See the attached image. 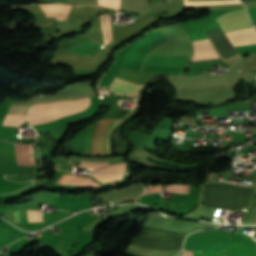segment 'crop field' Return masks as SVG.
<instances>
[{"mask_svg":"<svg viewBox=\"0 0 256 256\" xmlns=\"http://www.w3.org/2000/svg\"><path fill=\"white\" fill-rule=\"evenodd\" d=\"M171 40L159 46H191V41L182 24L163 28ZM193 54L192 47H156L148 55H184ZM192 55L184 56H147L145 59L143 71L148 74H169L181 75L187 67ZM138 73L132 69L121 67L116 78L140 83L146 85L149 81L158 75H148ZM114 79L109 89L114 92L127 95H136L144 85ZM137 96H133L136 98Z\"/></svg>","mask_w":256,"mask_h":256,"instance_id":"8a807250","label":"crop field"},{"mask_svg":"<svg viewBox=\"0 0 256 256\" xmlns=\"http://www.w3.org/2000/svg\"><path fill=\"white\" fill-rule=\"evenodd\" d=\"M78 105H90L89 97L74 100V101H62V102L37 104V105L32 106L30 108V110L56 108V107H67V106H78ZM87 107H89V106L35 110V111H29V116L80 112V111L86 109ZM72 114H75V113L29 117V123L31 125L45 123V122L56 120V119H59V118L65 117V116L72 115Z\"/></svg>","mask_w":256,"mask_h":256,"instance_id":"ac0d7876","label":"crop field"},{"mask_svg":"<svg viewBox=\"0 0 256 256\" xmlns=\"http://www.w3.org/2000/svg\"><path fill=\"white\" fill-rule=\"evenodd\" d=\"M121 120L117 119H106L100 120L99 124L97 123L88 127L86 138H85V150L84 155L91 156V149H92V139H93V149H92V156H108L109 155V147H108V135L112 127L118 124Z\"/></svg>","mask_w":256,"mask_h":256,"instance_id":"34b2d1b8","label":"crop field"},{"mask_svg":"<svg viewBox=\"0 0 256 256\" xmlns=\"http://www.w3.org/2000/svg\"><path fill=\"white\" fill-rule=\"evenodd\" d=\"M215 20L224 33L253 27L245 10L227 12Z\"/></svg>","mask_w":256,"mask_h":256,"instance_id":"412701ff","label":"crop field"},{"mask_svg":"<svg viewBox=\"0 0 256 256\" xmlns=\"http://www.w3.org/2000/svg\"><path fill=\"white\" fill-rule=\"evenodd\" d=\"M177 89H195L201 87H212L227 84L223 75L195 77V78H169Z\"/></svg>","mask_w":256,"mask_h":256,"instance_id":"f4fd0767","label":"crop field"},{"mask_svg":"<svg viewBox=\"0 0 256 256\" xmlns=\"http://www.w3.org/2000/svg\"><path fill=\"white\" fill-rule=\"evenodd\" d=\"M192 44L194 55L191 61L219 58L209 39L194 41Z\"/></svg>","mask_w":256,"mask_h":256,"instance_id":"dd49c442","label":"crop field"},{"mask_svg":"<svg viewBox=\"0 0 256 256\" xmlns=\"http://www.w3.org/2000/svg\"><path fill=\"white\" fill-rule=\"evenodd\" d=\"M14 150L16 154L29 155V150L33 151V145L14 143ZM30 155H34V152L30 151ZM16 157L18 165H35L34 156L16 155Z\"/></svg>","mask_w":256,"mask_h":256,"instance_id":"e52e79f7","label":"crop field"},{"mask_svg":"<svg viewBox=\"0 0 256 256\" xmlns=\"http://www.w3.org/2000/svg\"><path fill=\"white\" fill-rule=\"evenodd\" d=\"M102 47L103 45L93 42L91 40H88L78 45L77 47L71 49L67 53H75V54L83 55L85 57H92Z\"/></svg>","mask_w":256,"mask_h":256,"instance_id":"d8731c3e","label":"crop field"},{"mask_svg":"<svg viewBox=\"0 0 256 256\" xmlns=\"http://www.w3.org/2000/svg\"><path fill=\"white\" fill-rule=\"evenodd\" d=\"M120 9L142 13L148 10L147 0H121Z\"/></svg>","mask_w":256,"mask_h":256,"instance_id":"5a996713","label":"crop field"},{"mask_svg":"<svg viewBox=\"0 0 256 256\" xmlns=\"http://www.w3.org/2000/svg\"><path fill=\"white\" fill-rule=\"evenodd\" d=\"M75 241L76 239L65 232L53 249L62 256H67Z\"/></svg>","mask_w":256,"mask_h":256,"instance_id":"3316defc","label":"crop field"},{"mask_svg":"<svg viewBox=\"0 0 256 256\" xmlns=\"http://www.w3.org/2000/svg\"><path fill=\"white\" fill-rule=\"evenodd\" d=\"M58 184H72V185H91V186H100L97 183L93 182L89 178L76 177L64 174L59 180Z\"/></svg>","mask_w":256,"mask_h":256,"instance_id":"28ad6ade","label":"crop field"},{"mask_svg":"<svg viewBox=\"0 0 256 256\" xmlns=\"http://www.w3.org/2000/svg\"><path fill=\"white\" fill-rule=\"evenodd\" d=\"M27 120V115H6L3 125L20 126Z\"/></svg>","mask_w":256,"mask_h":256,"instance_id":"d1516ede","label":"crop field"},{"mask_svg":"<svg viewBox=\"0 0 256 256\" xmlns=\"http://www.w3.org/2000/svg\"><path fill=\"white\" fill-rule=\"evenodd\" d=\"M96 179L100 180L101 182H109V181H116L122 179V174H112V175H92Z\"/></svg>","mask_w":256,"mask_h":256,"instance_id":"22f410ed","label":"crop field"},{"mask_svg":"<svg viewBox=\"0 0 256 256\" xmlns=\"http://www.w3.org/2000/svg\"><path fill=\"white\" fill-rule=\"evenodd\" d=\"M14 222H28L27 211L14 212Z\"/></svg>","mask_w":256,"mask_h":256,"instance_id":"cbeb9de0","label":"crop field"},{"mask_svg":"<svg viewBox=\"0 0 256 256\" xmlns=\"http://www.w3.org/2000/svg\"><path fill=\"white\" fill-rule=\"evenodd\" d=\"M187 186L180 185H167V191L176 192V193H186Z\"/></svg>","mask_w":256,"mask_h":256,"instance_id":"5142ce71","label":"crop field"},{"mask_svg":"<svg viewBox=\"0 0 256 256\" xmlns=\"http://www.w3.org/2000/svg\"><path fill=\"white\" fill-rule=\"evenodd\" d=\"M226 250L211 252H194V256H223Z\"/></svg>","mask_w":256,"mask_h":256,"instance_id":"d9b57169","label":"crop field"},{"mask_svg":"<svg viewBox=\"0 0 256 256\" xmlns=\"http://www.w3.org/2000/svg\"><path fill=\"white\" fill-rule=\"evenodd\" d=\"M162 186H151L147 190H145L144 193H149V192H156V191H162Z\"/></svg>","mask_w":256,"mask_h":256,"instance_id":"733c2abd","label":"crop field"},{"mask_svg":"<svg viewBox=\"0 0 256 256\" xmlns=\"http://www.w3.org/2000/svg\"><path fill=\"white\" fill-rule=\"evenodd\" d=\"M243 2L253 1V0H242Z\"/></svg>","mask_w":256,"mask_h":256,"instance_id":"4a817a6b","label":"crop field"}]
</instances>
